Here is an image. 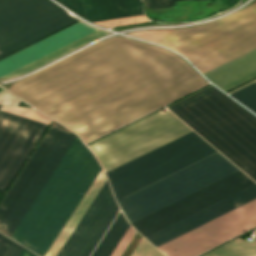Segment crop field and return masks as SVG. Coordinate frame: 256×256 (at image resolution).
Listing matches in <instances>:
<instances>
[{
  "label": "crop field",
  "instance_id": "8a807250",
  "mask_svg": "<svg viewBox=\"0 0 256 256\" xmlns=\"http://www.w3.org/2000/svg\"><path fill=\"white\" fill-rule=\"evenodd\" d=\"M207 83L180 56L116 36L13 83L9 91L88 143Z\"/></svg>",
  "mask_w": 256,
  "mask_h": 256
},
{
  "label": "crop field",
  "instance_id": "ac0d7876",
  "mask_svg": "<svg viewBox=\"0 0 256 256\" xmlns=\"http://www.w3.org/2000/svg\"><path fill=\"white\" fill-rule=\"evenodd\" d=\"M190 132L169 111H158L88 147L106 172ZM213 152L216 150L193 132L106 174L118 200Z\"/></svg>",
  "mask_w": 256,
  "mask_h": 256
},
{
  "label": "crop field",
  "instance_id": "34b2d1b8",
  "mask_svg": "<svg viewBox=\"0 0 256 256\" xmlns=\"http://www.w3.org/2000/svg\"><path fill=\"white\" fill-rule=\"evenodd\" d=\"M168 108L256 181L253 114L212 85Z\"/></svg>",
  "mask_w": 256,
  "mask_h": 256
},
{
  "label": "crop field",
  "instance_id": "412701ff",
  "mask_svg": "<svg viewBox=\"0 0 256 256\" xmlns=\"http://www.w3.org/2000/svg\"><path fill=\"white\" fill-rule=\"evenodd\" d=\"M158 43L180 52L204 74L256 48V2L214 22L188 27Z\"/></svg>",
  "mask_w": 256,
  "mask_h": 256
},
{
  "label": "crop field",
  "instance_id": "f4fd0767",
  "mask_svg": "<svg viewBox=\"0 0 256 256\" xmlns=\"http://www.w3.org/2000/svg\"><path fill=\"white\" fill-rule=\"evenodd\" d=\"M236 170L216 152L117 202L132 223Z\"/></svg>",
  "mask_w": 256,
  "mask_h": 256
},
{
  "label": "crop field",
  "instance_id": "dd49c442",
  "mask_svg": "<svg viewBox=\"0 0 256 256\" xmlns=\"http://www.w3.org/2000/svg\"><path fill=\"white\" fill-rule=\"evenodd\" d=\"M93 157L77 137L11 238L32 250Z\"/></svg>",
  "mask_w": 256,
  "mask_h": 256
},
{
  "label": "crop field",
  "instance_id": "e52e79f7",
  "mask_svg": "<svg viewBox=\"0 0 256 256\" xmlns=\"http://www.w3.org/2000/svg\"><path fill=\"white\" fill-rule=\"evenodd\" d=\"M50 0H0V58L75 21Z\"/></svg>",
  "mask_w": 256,
  "mask_h": 256
},
{
  "label": "crop field",
  "instance_id": "d8731c3e",
  "mask_svg": "<svg viewBox=\"0 0 256 256\" xmlns=\"http://www.w3.org/2000/svg\"><path fill=\"white\" fill-rule=\"evenodd\" d=\"M254 226L256 200L158 248L166 256H196Z\"/></svg>",
  "mask_w": 256,
  "mask_h": 256
},
{
  "label": "crop field",
  "instance_id": "5a996713",
  "mask_svg": "<svg viewBox=\"0 0 256 256\" xmlns=\"http://www.w3.org/2000/svg\"><path fill=\"white\" fill-rule=\"evenodd\" d=\"M47 127L0 110V191L6 192Z\"/></svg>",
  "mask_w": 256,
  "mask_h": 256
},
{
  "label": "crop field",
  "instance_id": "3316defc",
  "mask_svg": "<svg viewBox=\"0 0 256 256\" xmlns=\"http://www.w3.org/2000/svg\"><path fill=\"white\" fill-rule=\"evenodd\" d=\"M117 210L118 206L106 181L57 256H89Z\"/></svg>",
  "mask_w": 256,
  "mask_h": 256
},
{
  "label": "crop field",
  "instance_id": "28ad6ade",
  "mask_svg": "<svg viewBox=\"0 0 256 256\" xmlns=\"http://www.w3.org/2000/svg\"><path fill=\"white\" fill-rule=\"evenodd\" d=\"M254 199H256V184L180 220L146 237V239L158 247Z\"/></svg>",
  "mask_w": 256,
  "mask_h": 256
},
{
  "label": "crop field",
  "instance_id": "d1516ede",
  "mask_svg": "<svg viewBox=\"0 0 256 256\" xmlns=\"http://www.w3.org/2000/svg\"><path fill=\"white\" fill-rule=\"evenodd\" d=\"M254 182L245 174L188 201L138 227L136 229L144 236H148L180 219H183L217 201H220L250 185Z\"/></svg>",
  "mask_w": 256,
  "mask_h": 256
},
{
  "label": "crop field",
  "instance_id": "22f410ed",
  "mask_svg": "<svg viewBox=\"0 0 256 256\" xmlns=\"http://www.w3.org/2000/svg\"><path fill=\"white\" fill-rule=\"evenodd\" d=\"M76 135L66 129L2 227L0 231L10 237L74 139Z\"/></svg>",
  "mask_w": 256,
  "mask_h": 256
},
{
  "label": "crop field",
  "instance_id": "cbeb9de0",
  "mask_svg": "<svg viewBox=\"0 0 256 256\" xmlns=\"http://www.w3.org/2000/svg\"><path fill=\"white\" fill-rule=\"evenodd\" d=\"M62 125L54 121L23 170L0 203V227L65 131Z\"/></svg>",
  "mask_w": 256,
  "mask_h": 256
},
{
  "label": "crop field",
  "instance_id": "5142ce71",
  "mask_svg": "<svg viewBox=\"0 0 256 256\" xmlns=\"http://www.w3.org/2000/svg\"><path fill=\"white\" fill-rule=\"evenodd\" d=\"M94 31V29L78 22L2 61H0V77Z\"/></svg>",
  "mask_w": 256,
  "mask_h": 256
},
{
  "label": "crop field",
  "instance_id": "d9b57169",
  "mask_svg": "<svg viewBox=\"0 0 256 256\" xmlns=\"http://www.w3.org/2000/svg\"><path fill=\"white\" fill-rule=\"evenodd\" d=\"M90 22L143 14L139 0H57Z\"/></svg>",
  "mask_w": 256,
  "mask_h": 256
},
{
  "label": "crop field",
  "instance_id": "733c2abd",
  "mask_svg": "<svg viewBox=\"0 0 256 256\" xmlns=\"http://www.w3.org/2000/svg\"><path fill=\"white\" fill-rule=\"evenodd\" d=\"M100 169L101 168L94 157L32 251L40 256L45 254Z\"/></svg>",
  "mask_w": 256,
  "mask_h": 256
},
{
  "label": "crop field",
  "instance_id": "4a817a6b",
  "mask_svg": "<svg viewBox=\"0 0 256 256\" xmlns=\"http://www.w3.org/2000/svg\"><path fill=\"white\" fill-rule=\"evenodd\" d=\"M255 69H256V49L204 74V76L206 78H208L210 81H212L214 84H216L218 87H220L222 90L227 92L226 90L256 76ZM253 70H255V71H253ZM251 71H253V72H251ZM249 72H251V73H249ZM247 73H249V74H247ZM245 74H247V75H245ZM243 75H245V76H243ZM241 76H243V77H241ZM239 77H241V78H239ZM237 78H239V79H237ZM254 78H256V77H254ZM235 79H237V80H235ZM233 80H235V81H233ZM231 81H233V82H231ZM229 82H231V83H229ZM227 83H229V84H227ZM225 84H227V85H225ZM223 85H225V86H223ZM221 86H223V88H225L226 90L223 89Z\"/></svg>",
  "mask_w": 256,
  "mask_h": 256
},
{
  "label": "crop field",
  "instance_id": "bc2a9ffb",
  "mask_svg": "<svg viewBox=\"0 0 256 256\" xmlns=\"http://www.w3.org/2000/svg\"><path fill=\"white\" fill-rule=\"evenodd\" d=\"M105 180L106 178L101 169V171L99 172V174L97 175V177L95 178V180L93 181V183L91 184V186L89 187V189L87 190V192L85 193V195L73 211L72 215L70 216V218L68 219V221L66 222V224L64 225V227L62 228V230L60 231V233L58 234V236L56 237V239L44 256H56V254L78 223L79 219L81 218V216L83 215V213L85 212Z\"/></svg>",
  "mask_w": 256,
  "mask_h": 256
},
{
  "label": "crop field",
  "instance_id": "214f88e0",
  "mask_svg": "<svg viewBox=\"0 0 256 256\" xmlns=\"http://www.w3.org/2000/svg\"><path fill=\"white\" fill-rule=\"evenodd\" d=\"M107 34H109V33L105 32V31L97 30L96 32H94V33H92V34H90V35H88V36H86V37H84V38H82V39L64 47V48H61V49H59V50L41 58V59H39V60H37L33 63H30V64H28V65H26V66H24V67H22V68H20L16 71H14V72L2 77L1 79H7V78L19 76V75H22L26 72L32 71V70L38 68L39 66H41V65H43V64H45L49 61L55 60V59L65 55V54H67V53H69V52H71V51H73V50H75V49H77V48H79V47H81V46L99 38V37L105 36Z\"/></svg>",
  "mask_w": 256,
  "mask_h": 256
},
{
  "label": "crop field",
  "instance_id": "92a150f3",
  "mask_svg": "<svg viewBox=\"0 0 256 256\" xmlns=\"http://www.w3.org/2000/svg\"><path fill=\"white\" fill-rule=\"evenodd\" d=\"M129 226L120 212L92 256H110Z\"/></svg>",
  "mask_w": 256,
  "mask_h": 256
},
{
  "label": "crop field",
  "instance_id": "dafd665d",
  "mask_svg": "<svg viewBox=\"0 0 256 256\" xmlns=\"http://www.w3.org/2000/svg\"><path fill=\"white\" fill-rule=\"evenodd\" d=\"M202 256H256V239L248 243L236 238Z\"/></svg>",
  "mask_w": 256,
  "mask_h": 256
},
{
  "label": "crop field",
  "instance_id": "00972430",
  "mask_svg": "<svg viewBox=\"0 0 256 256\" xmlns=\"http://www.w3.org/2000/svg\"><path fill=\"white\" fill-rule=\"evenodd\" d=\"M241 174H243V172L238 170V171H236V172H234V173H232V174H230V175H228V176H226V177H224V178H222V179H220V180H218V181H216V182H214V183H212V184H210V185H208V186H206V187H204V188H202V189H200V190H198V191H196V192H194V193H192V194H190V195H188V196H186V197H184V198H182V199H180V200H178V201H176V202H174V203H172V204H170V205H168V206H166V207H164V208H162V209H160V210H158V211H156V212H154V213H152V214H150V215H148V216H146V217H144V218H142V219H140L136 222H134V223H132V225L134 227H136V226H138V225H140V224H142V223H144V222H146V221H148V220H150V219H152V218H154V217H156V216H158V215H160V214H162V213H164V212H166V211H168V210H170V209H172V208H174V207H176V206H178V205H180V204H182V203H184L188 200H191V199H193V198H195V197H197V196H199V195H201V194H203V193H205V192H207V191H209V190H211V189H213V188H215V187H217V186H219V185H221V184H223V183H225V182H227V181H229V180H231V179H233V178H235V177H237Z\"/></svg>",
  "mask_w": 256,
  "mask_h": 256
},
{
  "label": "crop field",
  "instance_id": "a9b5d70f",
  "mask_svg": "<svg viewBox=\"0 0 256 256\" xmlns=\"http://www.w3.org/2000/svg\"><path fill=\"white\" fill-rule=\"evenodd\" d=\"M230 95L256 113V81L230 93Z\"/></svg>",
  "mask_w": 256,
  "mask_h": 256
},
{
  "label": "crop field",
  "instance_id": "4177f3b9",
  "mask_svg": "<svg viewBox=\"0 0 256 256\" xmlns=\"http://www.w3.org/2000/svg\"><path fill=\"white\" fill-rule=\"evenodd\" d=\"M131 256H164V255L142 237V239L138 243L137 247L135 248Z\"/></svg>",
  "mask_w": 256,
  "mask_h": 256
},
{
  "label": "crop field",
  "instance_id": "730fd06b",
  "mask_svg": "<svg viewBox=\"0 0 256 256\" xmlns=\"http://www.w3.org/2000/svg\"><path fill=\"white\" fill-rule=\"evenodd\" d=\"M23 247L4 236L0 244V256H19Z\"/></svg>",
  "mask_w": 256,
  "mask_h": 256
},
{
  "label": "crop field",
  "instance_id": "eef30255",
  "mask_svg": "<svg viewBox=\"0 0 256 256\" xmlns=\"http://www.w3.org/2000/svg\"><path fill=\"white\" fill-rule=\"evenodd\" d=\"M134 234L135 231L130 226V228L128 229V231L126 232V234L124 235V237L122 238V240L120 241V243L118 244V246L116 247L111 256H120V254L127 246V244L129 243Z\"/></svg>",
  "mask_w": 256,
  "mask_h": 256
},
{
  "label": "crop field",
  "instance_id": "ae1a2a85",
  "mask_svg": "<svg viewBox=\"0 0 256 256\" xmlns=\"http://www.w3.org/2000/svg\"><path fill=\"white\" fill-rule=\"evenodd\" d=\"M145 9L175 6L174 0H142Z\"/></svg>",
  "mask_w": 256,
  "mask_h": 256
},
{
  "label": "crop field",
  "instance_id": "d3111659",
  "mask_svg": "<svg viewBox=\"0 0 256 256\" xmlns=\"http://www.w3.org/2000/svg\"><path fill=\"white\" fill-rule=\"evenodd\" d=\"M20 256H35V254L23 248Z\"/></svg>",
  "mask_w": 256,
  "mask_h": 256
},
{
  "label": "crop field",
  "instance_id": "750c4746",
  "mask_svg": "<svg viewBox=\"0 0 256 256\" xmlns=\"http://www.w3.org/2000/svg\"><path fill=\"white\" fill-rule=\"evenodd\" d=\"M3 236H4V235L0 234V242H1L2 238H3Z\"/></svg>",
  "mask_w": 256,
  "mask_h": 256
},
{
  "label": "crop field",
  "instance_id": "bd1437ed",
  "mask_svg": "<svg viewBox=\"0 0 256 256\" xmlns=\"http://www.w3.org/2000/svg\"><path fill=\"white\" fill-rule=\"evenodd\" d=\"M0 107H1V105H0Z\"/></svg>",
  "mask_w": 256,
  "mask_h": 256
},
{
  "label": "crop field",
  "instance_id": "1d83c4d3",
  "mask_svg": "<svg viewBox=\"0 0 256 256\" xmlns=\"http://www.w3.org/2000/svg\"><path fill=\"white\" fill-rule=\"evenodd\" d=\"M37 256V255H36Z\"/></svg>",
  "mask_w": 256,
  "mask_h": 256
}]
</instances>
